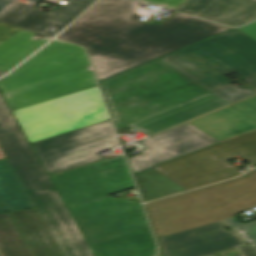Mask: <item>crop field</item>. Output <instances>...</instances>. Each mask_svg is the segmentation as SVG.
<instances>
[{
	"mask_svg": "<svg viewBox=\"0 0 256 256\" xmlns=\"http://www.w3.org/2000/svg\"><path fill=\"white\" fill-rule=\"evenodd\" d=\"M135 178L139 186L150 192L142 194L145 201L185 191L182 187L176 185L152 169L135 176Z\"/></svg>",
	"mask_w": 256,
	"mask_h": 256,
	"instance_id": "dafd665d",
	"label": "crop field"
},
{
	"mask_svg": "<svg viewBox=\"0 0 256 256\" xmlns=\"http://www.w3.org/2000/svg\"><path fill=\"white\" fill-rule=\"evenodd\" d=\"M95 256H153L141 204L106 196L69 209Z\"/></svg>",
	"mask_w": 256,
	"mask_h": 256,
	"instance_id": "412701ff",
	"label": "crop field"
},
{
	"mask_svg": "<svg viewBox=\"0 0 256 256\" xmlns=\"http://www.w3.org/2000/svg\"><path fill=\"white\" fill-rule=\"evenodd\" d=\"M33 33L28 30H20L7 40L0 43V70L9 71L40 46L46 43L49 38L34 41Z\"/></svg>",
	"mask_w": 256,
	"mask_h": 256,
	"instance_id": "214f88e0",
	"label": "crop field"
},
{
	"mask_svg": "<svg viewBox=\"0 0 256 256\" xmlns=\"http://www.w3.org/2000/svg\"><path fill=\"white\" fill-rule=\"evenodd\" d=\"M254 216L256 217V213ZM224 222L230 225L250 246L256 249V220L242 225L233 218Z\"/></svg>",
	"mask_w": 256,
	"mask_h": 256,
	"instance_id": "a9b5d70f",
	"label": "crop field"
},
{
	"mask_svg": "<svg viewBox=\"0 0 256 256\" xmlns=\"http://www.w3.org/2000/svg\"><path fill=\"white\" fill-rule=\"evenodd\" d=\"M200 87L210 91L238 73L256 89V40L233 29L158 59Z\"/></svg>",
	"mask_w": 256,
	"mask_h": 256,
	"instance_id": "dd49c442",
	"label": "crop field"
},
{
	"mask_svg": "<svg viewBox=\"0 0 256 256\" xmlns=\"http://www.w3.org/2000/svg\"><path fill=\"white\" fill-rule=\"evenodd\" d=\"M176 10L238 26L256 18V0H186Z\"/></svg>",
	"mask_w": 256,
	"mask_h": 256,
	"instance_id": "4a817a6b",
	"label": "crop field"
},
{
	"mask_svg": "<svg viewBox=\"0 0 256 256\" xmlns=\"http://www.w3.org/2000/svg\"><path fill=\"white\" fill-rule=\"evenodd\" d=\"M189 122L219 142L250 132L256 129V96Z\"/></svg>",
	"mask_w": 256,
	"mask_h": 256,
	"instance_id": "733c2abd",
	"label": "crop field"
},
{
	"mask_svg": "<svg viewBox=\"0 0 256 256\" xmlns=\"http://www.w3.org/2000/svg\"><path fill=\"white\" fill-rule=\"evenodd\" d=\"M13 114L30 143L109 118L97 86Z\"/></svg>",
	"mask_w": 256,
	"mask_h": 256,
	"instance_id": "e52e79f7",
	"label": "crop field"
},
{
	"mask_svg": "<svg viewBox=\"0 0 256 256\" xmlns=\"http://www.w3.org/2000/svg\"><path fill=\"white\" fill-rule=\"evenodd\" d=\"M210 92L211 93L208 95L196 98L129 126L135 130H140L141 132L150 135L164 128L255 94V92L248 87L240 89L231 83Z\"/></svg>",
	"mask_w": 256,
	"mask_h": 256,
	"instance_id": "5142ce71",
	"label": "crop field"
},
{
	"mask_svg": "<svg viewBox=\"0 0 256 256\" xmlns=\"http://www.w3.org/2000/svg\"><path fill=\"white\" fill-rule=\"evenodd\" d=\"M28 195L63 256H93L56 189L30 192Z\"/></svg>",
	"mask_w": 256,
	"mask_h": 256,
	"instance_id": "cbeb9de0",
	"label": "crop field"
},
{
	"mask_svg": "<svg viewBox=\"0 0 256 256\" xmlns=\"http://www.w3.org/2000/svg\"><path fill=\"white\" fill-rule=\"evenodd\" d=\"M239 249L243 252L245 256H256V250H254L252 247L249 245L239 247Z\"/></svg>",
	"mask_w": 256,
	"mask_h": 256,
	"instance_id": "ae1a2a85",
	"label": "crop field"
},
{
	"mask_svg": "<svg viewBox=\"0 0 256 256\" xmlns=\"http://www.w3.org/2000/svg\"><path fill=\"white\" fill-rule=\"evenodd\" d=\"M143 1L175 9L185 0H143Z\"/></svg>",
	"mask_w": 256,
	"mask_h": 256,
	"instance_id": "730fd06b",
	"label": "crop field"
},
{
	"mask_svg": "<svg viewBox=\"0 0 256 256\" xmlns=\"http://www.w3.org/2000/svg\"><path fill=\"white\" fill-rule=\"evenodd\" d=\"M3 158H5V156H4L3 152L0 149V159H3Z\"/></svg>",
	"mask_w": 256,
	"mask_h": 256,
	"instance_id": "750c4746",
	"label": "crop field"
},
{
	"mask_svg": "<svg viewBox=\"0 0 256 256\" xmlns=\"http://www.w3.org/2000/svg\"><path fill=\"white\" fill-rule=\"evenodd\" d=\"M140 2L101 0L57 38L87 49L98 81L230 28L175 13L164 22L132 19Z\"/></svg>",
	"mask_w": 256,
	"mask_h": 256,
	"instance_id": "8a807250",
	"label": "crop field"
},
{
	"mask_svg": "<svg viewBox=\"0 0 256 256\" xmlns=\"http://www.w3.org/2000/svg\"><path fill=\"white\" fill-rule=\"evenodd\" d=\"M0 253L2 256H31L7 213L0 214Z\"/></svg>",
	"mask_w": 256,
	"mask_h": 256,
	"instance_id": "00972430",
	"label": "crop field"
},
{
	"mask_svg": "<svg viewBox=\"0 0 256 256\" xmlns=\"http://www.w3.org/2000/svg\"><path fill=\"white\" fill-rule=\"evenodd\" d=\"M83 48L54 40L0 80L11 111L96 86Z\"/></svg>",
	"mask_w": 256,
	"mask_h": 256,
	"instance_id": "ac0d7876",
	"label": "crop field"
},
{
	"mask_svg": "<svg viewBox=\"0 0 256 256\" xmlns=\"http://www.w3.org/2000/svg\"><path fill=\"white\" fill-rule=\"evenodd\" d=\"M256 206V170L237 180L147 205L157 237L221 221Z\"/></svg>",
	"mask_w": 256,
	"mask_h": 256,
	"instance_id": "f4fd0767",
	"label": "crop field"
},
{
	"mask_svg": "<svg viewBox=\"0 0 256 256\" xmlns=\"http://www.w3.org/2000/svg\"><path fill=\"white\" fill-rule=\"evenodd\" d=\"M139 143L146 148L141 155L129 158L134 174L218 142L187 122Z\"/></svg>",
	"mask_w": 256,
	"mask_h": 256,
	"instance_id": "22f410ed",
	"label": "crop field"
},
{
	"mask_svg": "<svg viewBox=\"0 0 256 256\" xmlns=\"http://www.w3.org/2000/svg\"><path fill=\"white\" fill-rule=\"evenodd\" d=\"M0 201L7 212L34 208L6 159L0 160Z\"/></svg>",
	"mask_w": 256,
	"mask_h": 256,
	"instance_id": "92a150f3",
	"label": "crop field"
},
{
	"mask_svg": "<svg viewBox=\"0 0 256 256\" xmlns=\"http://www.w3.org/2000/svg\"><path fill=\"white\" fill-rule=\"evenodd\" d=\"M226 255L240 256V253L236 249H232V250H228V251L219 252V253L214 254V256H226Z\"/></svg>",
	"mask_w": 256,
	"mask_h": 256,
	"instance_id": "d3111659",
	"label": "crop field"
},
{
	"mask_svg": "<svg viewBox=\"0 0 256 256\" xmlns=\"http://www.w3.org/2000/svg\"><path fill=\"white\" fill-rule=\"evenodd\" d=\"M21 28L13 27L10 25L2 24L0 23V42L5 40L6 38L10 37L17 31H19Z\"/></svg>",
	"mask_w": 256,
	"mask_h": 256,
	"instance_id": "4177f3b9",
	"label": "crop field"
},
{
	"mask_svg": "<svg viewBox=\"0 0 256 256\" xmlns=\"http://www.w3.org/2000/svg\"><path fill=\"white\" fill-rule=\"evenodd\" d=\"M165 256H205L243 244L218 222L159 238Z\"/></svg>",
	"mask_w": 256,
	"mask_h": 256,
	"instance_id": "d9b57169",
	"label": "crop field"
},
{
	"mask_svg": "<svg viewBox=\"0 0 256 256\" xmlns=\"http://www.w3.org/2000/svg\"><path fill=\"white\" fill-rule=\"evenodd\" d=\"M8 215L32 256H62L36 209Z\"/></svg>",
	"mask_w": 256,
	"mask_h": 256,
	"instance_id": "bc2a9ffb",
	"label": "crop field"
},
{
	"mask_svg": "<svg viewBox=\"0 0 256 256\" xmlns=\"http://www.w3.org/2000/svg\"><path fill=\"white\" fill-rule=\"evenodd\" d=\"M209 256H213V255H209Z\"/></svg>",
	"mask_w": 256,
	"mask_h": 256,
	"instance_id": "120bbe31",
	"label": "crop field"
},
{
	"mask_svg": "<svg viewBox=\"0 0 256 256\" xmlns=\"http://www.w3.org/2000/svg\"><path fill=\"white\" fill-rule=\"evenodd\" d=\"M19 129L0 96V147L14 173L26 192L54 188Z\"/></svg>",
	"mask_w": 256,
	"mask_h": 256,
	"instance_id": "28ad6ade",
	"label": "crop field"
},
{
	"mask_svg": "<svg viewBox=\"0 0 256 256\" xmlns=\"http://www.w3.org/2000/svg\"><path fill=\"white\" fill-rule=\"evenodd\" d=\"M238 30L256 39V22L246 25L244 27L238 28Z\"/></svg>",
	"mask_w": 256,
	"mask_h": 256,
	"instance_id": "eef30255",
	"label": "crop field"
},
{
	"mask_svg": "<svg viewBox=\"0 0 256 256\" xmlns=\"http://www.w3.org/2000/svg\"><path fill=\"white\" fill-rule=\"evenodd\" d=\"M51 179L68 208L134 188L123 156L53 175Z\"/></svg>",
	"mask_w": 256,
	"mask_h": 256,
	"instance_id": "3316defc",
	"label": "crop field"
},
{
	"mask_svg": "<svg viewBox=\"0 0 256 256\" xmlns=\"http://www.w3.org/2000/svg\"><path fill=\"white\" fill-rule=\"evenodd\" d=\"M176 72L155 60L102 81L117 129L209 93Z\"/></svg>",
	"mask_w": 256,
	"mask_h": 256,
	"instance_id": "34b2d1b8",
	"label": "crop field"
},
{
	"mask_svg": "<svg viewBox=\"0 0 256 256\" xmlns=\"http://www.w3.org/2000/svg\"><path fill=\"white\" fill-rule=\"evenodd\" d=\"M2 211H5V210H4L3 206L0 203V212H2Z\"/></svg>",
	"mask_w": 256,
	"mask_h": 256,
	"instance_id": "bd1437ed",
	"label": "crop field"
},
{
	"mask_svg": "<svg viewBox=\"0 0 256 256\" xmlns=\"http://www.w3.org/2000/svg\"><path fill=\"white\" fill-rule=\"evenodd\" d=\"M4 73H5V72H1V71H0V75H2V74H4Z\"/></svg>",
	"mask_w": 256,
	"mask_h": 256,
	"instance_id": "1d83c4d3",
	"label": "crop field"
},
{
	"mask_svg": "<svg viewBox=\"0 0 256 256\" xmlns=\"http://www.w3.org/2000/svg\"><path fill=\"white\" fill-rule=\"evenodd\" d=\"M235 155L256 164V131L153 169L188 190L240 174L236 167L224 160Z\"/></svg>",
	"mask_w": 256,
	"mask_h": 256,
	"instance_id": "d8731c3e",
	"label": "crop field"
},
{
	"mask_svg": "<svg viewBox=\"0 0 256 256\" xmlns=\"http://www.w3.org/2000/svg\"><path fill=\"white\" fill-rule=\"evenodd\" d=\"M31 144L51 175L102 159L96 153L118 141L108 119Z\"/></svg>",
	"mask_w": 256,
	"mask_h": 256,
	"instance_id": "5a996713",
	"label": "crop field"
},
{
	"mask_svg": "<svg viewBox=\"0 0 256 256\" xmlns=\"http://www.w3.org/2000/svg\"><path fill=\"white\" fill-rule=\"evenodd\" d=\"M57 3L60 0H29ZM96 0H63L53 14L17 0H0V21L53 37Z\"/></svg>",
	"mask_w": 256,
	"mask_h": 256,
	"instance_id": "d1516ede",
	"label": "crop field"
}]
</instances>
